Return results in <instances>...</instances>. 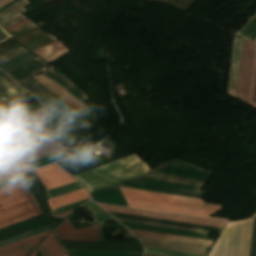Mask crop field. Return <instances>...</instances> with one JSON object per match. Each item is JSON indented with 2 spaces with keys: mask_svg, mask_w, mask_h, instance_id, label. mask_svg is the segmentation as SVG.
Returning <instances> with one entry per match:
<instances>
[{
  "mask_svg": "<svg viewBox=\"0 0 256 256\" xmlns=\"http://www.w3.org/2000/svg\"><path fill=\"white\" fill-rule=\"evenodd\" d=\"M117 221L121 225H123L125 228H133V229L161 232V233L188 236V237H195V238H201V239L209 240L207 238L208 234H205V233L185 231V230L172 229V228H165V227L152 226V225H145V224L132 223V222H125V221H119V220H117Z\"/></svg>",
  "mask_w": 256,
  "mask_h": 256,
  "instance_id": "crop-field-12",
  "label": "crop field"
},
{
  "mask_svg": "<svg viewBox=\"0 0 256 256\" xmlns=\"http://www.w3.org/2000/svg\"><path fill=\"white\" fill-rule=\"evenodd\" d=\"M241 41H242V37L237 34L235 37V42H234L230 76H229L228 89H227V93L232 96H234V94H235V86H236V79H237L240 49H241Z\"/></svg>",
  "mask_w": 256,
  "mask_h": 256,
  "instance_id": "crop-field-13",
  "label": "crop field"
},
{
  "mask_svg": "<svg viewBox=\"0 0 256 256\" xmlns=\"http://www.w3.org/2000/svg\"><path fill=\"white\" fill-rule=\"evenodd\" d=\"M145 253L162 255V256H197V255L172 252V251H166V250H160V249H154V248H148V247H145Z\"/></svg>",
  "mask_w": 256,
  "mask_h": 256,
  "instance_id": "crop-field-30",
  "label": "crop field"
},
{
  "mask_svg": "<svg viewBox=\"0 0 256 256\" xmlns=\"http://www.w3.org/2000/svg\"><path fill=\"white\" fill-rule=\"evenodd\" d=\"M59 151H62V149L56 143H54L46 147L23 154V157L26 159L27 162H29Z\"/></svg>",
  "mask_w": 256,
  "mask_h": 256,
  "instance_id": "crop-field-22",
  "label": "crop field"
},
{
  "mask_svg": "<svg viewBox=\"0 0 256 256\" xmlns=\"http://www.w3.org/2000/svg\"><path fill=\"white\" fill-rule=\"evenodd\" d=\"M238 33L251 42L256 38V14L238 31Z\"/></svg>",
  "mask_w": 256,
  "mask_h": 256,
  "instance_id": "crop-field-25",
  "label": "crop field"
},
{
  "mask_svg": "<svg viewBox=\"0 0 256 256\" xmlns=\"http://www.w3.org/2000/svg\"><path fill=\"white\" fill-rule=\"evenodd\" d=\"M144 256H155V255H148V254H145Z\"/></svg>",
  "mask_w": 256,
  "mask_h": 256,
  "instance_id": "crop-field-43",
  "label": "crop field"
},
{
  "mask_svg": "<svg viewBox=\"0 0 256 256\" xmlns=\"http://www.w3.org/2000/svg\"><path fill=\"white\" fill-rule=\"evenodd\" d=\"M125 237L134 238V237H133L132 235H130L129 233H128Z\"/></svg>",
  "mask_w": 256,
  "mask_h": 256,
  "instance_id": "crop-field-42",
  "label": "crop field"
},
{
  "mask_svg": "<svg viewBox=\"0 0 256 256\" xmlns=\"http://www.w3.org/2000/svg\"><path fill=\"white\" fill-rule=\"evenodd\" d=\"M38 251L43 256H65V252L62 248L58 245L53 233L47 236L39 247L32 252L29 256H37Z\"/></svg>",
  "mask_w": 256,
  "mask_h": 256,
  "instance_id": "crop-field-15",
  "label": "crop field"
},
{
  "mask_svg": "<svg viewBox=\"0 0 256 256\" xmlns=\"http://www.w3.org/2000/svg\"><path fill=\"white\" fill-rule=\"evenodd\" d=\"M6 143H9V141L6 139V137L3 134H1L0 135V145L6 144Z\"/></svg>",
  "mask_w": 256,
  "mask_h": 256,
  "instance_id": "crop-field-39",
  "label": "crop field"
},
{
  "mask_svg": "<svg viewBox=\"0 0 256 256\" xmlns=\"http://www.w3.org/2000/svg\"><path fill=\"white\" fill-rule=\"evenodd\" d=\"M129 206L134 208L229 221L209 216L223 208L202 199L120 187Z\"/></svg>",
  "mask_w": 256,
  "mask_h": 256,
  "instance_id": "crop-field-1",
  "label": "crop field"
},
{
  "mask_svg": "<svg viewBox=\"0 0 256 256\" xmlns=\"http://www.w3.org/2000/svg\"><path fill=\"white\" fill-rule=\"evenodd\" d=\"M93 202L90 200L83 207H85L88 211H90L99 222H105L112 220L110 216H108L102 209L98 206L92 204Z\"/></svg>",
  "mask_w": 256,
  "mask_h": 256,
  "instance_id": "crop-field-27",
  "label": "crop field"
},
{
  "mask_svg": "<svg viewBox=\"0 0 256 256\" xmlns=\"http://www.w3.org/2000/svg\"><path fill=\"white\" fill-rule=\"evenodd\" d=\"M129 231L134 235H138V236L173 240V241H179V242H186V243H193V244H200V245H207V246H210L212 243V241H204V240L191 239V238H185V237H178V236H171V235H164V234H157V233H150V232H143V231H136V230H129Z\"/></svg>",
  "mask_w": 256,
  "mask_h": 256,
  "instance_id": "crop-field-18",
  "label": "crop field"
},
{
  "mask_svg": "<svg viewBox=\"0 0 256 256\" xmlns=\"http://www.w3.org/2000/svg\"><path fill=\"white\" fill-rule=\"evenodd\" d=\"M28 4L27 0H19L18 2L8 6L0 12V24L26 12L23 6Z\"/></svg>",
  "mask_w": 256,
  "mask_h": 256,
  "instance_id": "crop-field-20",
  "label": "crop field"
},
{
  "mask_svg": "<svg viewBox=\"0 0 256 256\" xmlns=\"http://www.w3.org/2000/svg\"><path fill=\"white\" fill-rule=\"evenodd\" d=\"M19 178H22V176L19 175V176H15V177H12V178H10V179H7V180H5V181H3V182H0V185H3V184H5V183H8V182H11V181H14V180H17V179H19Z\"/></svg>",
  "mask_w": 256,
  "mask_h": 256,
  "instance_id": "crop-field-38",
  "label": "crop field"
},
{
  "mask_svg": "<svg viewBox=\"0 0 256 256\" xmlns=\"http://www.w3.org/2000/svg\"><path fill=\"white\" fill-rule=\"evenodd\" d=\"M149 166L136 155L75 176L89 192L147 173Z\"/></svg>",
  "mask_w": 256,
  "mask_h": 256,
  "instance_id": "crop-field-4",
  "label": "crop field"
},
{
  "mask_svg": "<svg viewBox=\"0 0 256 256\" xmlns=\"http://www.w3.org/2000/svg\"><path fill=\"white\" fill-rule=\"evenodd\" d=\"M43 112L42 108L0 123V129L21 154L54 143L44 131Z\"/></svg>",
  "mask_w": 256,
  "mask_h": 256,
  "instance_id": "crop-field-2",
  "label": "crop field"
},
{
  "mask_svg": "<svg viewBox=\"0 0 256 256\" xmlns=\"http://www.w3.org/2000/svg\"><path fill=\"white\" fill-rule=\"evenodd\" d=\"M12 0H0V7L8 2H10Z\"/></svg>",
  "mask_w": 256,
  "mask_h": 256,
  "instance_id": "crop-field-41",
  "label": "crop field"
},
{
  "mask_svg": "<svg viewBox=\"0 0 256 256\" xmlns=\"http://www.w3.org/2000/svg\"><path fill=\"white\" fill-rule=\"evenodd\" d=\"M34 172L39 177L46 189L76 182L73 177L64 172L55 164L42 169H37Z\"/></svg>",
  "mask_w": 256,
  "mask_h": 256,
  "instance_id": "crop-field-9",
  "label": "crop field"
},
{
  "mask_svg": "<svg viewBox=\"0 0 256 256\" xmlns=\"http://www.w3.org/2000/svg\"><path fill=\"white\" fill-rule=\"evenodd\" d=\"M48 232H49V231L44 232V233L39 234V235H36V236H33V237H30V238H28V239H25V240L16 242V243H14V244H11V245L2 247V248H0V253L3 252V251H6V250L12 249V248H14V247L23 245V244H25V243H28V242L37 240V239H39V238H42V237H44Z\"/></svg>",
  "mask_w": 256,
  "mask_h": 256,
  "instance_id": "crop-field-32",
  "label": "crop field"
},
{
  "mask_svg": "<svg viewBox=\"0 0 256 256\" xmlns=\"http://www.w3.org/2000/svg\"><path fill=\"white\" fill-rule=\"evenodd\" d=\"M256 47L242 41L240 64L235 97L248 103Z\"/></svg>",
  "mask_w": 256,
  "mask_h": 256,
  "instance_id": "crop-field-6",
  "label": "crop field"
},
{
  "mask_svg": "<svg viewBox=\"0 0 256 256\" xmlns=\"http://www.w3.org/2000/svg\"><path fill=\"white\" fill-rule=\"evenodd\" d=\"M83 188L84 187L80 183L76 182V183L69 184V185H66L63 187H59V188H56L53 190H49V191H46L47 199L53 198V197H56L59 195H63V194L69 193V192H73V191H76L79 189H83Z\"/></svg>",
  "mask_w": 256,
  "mask_h": 256,
  "instance_id": "crop-field-24",
  "label": "crop field"
},
{
  "mask_svg": "<svg viewBox=\"0 0 256 256\" xmlns=\"http://www.w3.org/2000/svg\"><path fill=\"white\" fill-rule=\"evenodd\" d=\"M254 219L227 223L209 256H249Z\"/></svg>",
  "mask_w": 256,
  "mask_h": 256,
  "instance_id": "crop-field-5",
  "label": "crop field"
},
{
  "mask_svg": "<svg viewBox=\"0 0 256 256\" xmlns=\"http://www.w3.org/2000/svg\"><path fill=\"white\" fill-rule=\"evenodd\" d=\"M254 216H256V213L254 214ZM253 217V216H252Z\"/></svg>",
  "mask_w": 256,
  "mask_h": 256,
  "instance_id": "crop-field-45",
  "label": "crop field"
},
{
  "mask_svg": "<svg viewBox=\"0 0 256 256\" xmlns=\"http://www.w3.org/2000/svg\"><path fill=\"white\" fill-rule=\"evenodd\" d=\"M105 211L223 228L225 223L97 204Z\"/></svg>",
  "mask_w": 256,
  "mask_h": 256,
  "instance_id": "crop-field-7",
  "label": "crop field"
},
{
  "mask_svg": "<svg viewBox=\"0 0 256 256\" xmlns=\"http://www.w3.org/2000/svg\"><path fill=\"white\" fill-rule=\"evenodd\" d=\"M89 199V198H88ZM87 200V199H85ZM85 200H81V201H78V202H75V203H72V204H68V205H65V206H62V207H59V208H55V209H52V214H57V213H61V212H64V211H67V210H71V209H74L76 208L80 203L84 202Z\"/></svg>",
  "mask_w": 256,
  "mask_h": 256,
  "instance_id": "crop-field-34",
  "label": "crop field"
},
{
  "mask_svg": "<svg viewBox=\"0 0 256 256\" xmlns=\"http://www.w3.org/2000/svg\"><path fill=\"white\" fill-rule=\"evenodd\" d=\"M38 214L39 204L23 180L0 188V228Z\"/></svg>",
  "mask_w": 256,
  "mask_h": 256,
  "instance_id": "crop-field-3",
  "label": "crop field"
},
{
  "mask_svg": "<svg viewBox=\"0 0 256 256\" xmlns=\"http://www.w3.org/2000/svg\"><path fill=\"white\" fill-rule=\"evenodd\" d=\"M73 210L71 211H67V212H64V213H61V214H57V215H54L56 217H62V218H65L69 213H71Z\"/></svg>",
  "mask_w": 256,
  "mask_h": 256,
  "instance_id": "crop-field-40",
  "label": "crop field"
},
{
  "mask_svg": "<svg viewBox=\"0 0 256 256\" xmlns=\"http://www.w3.org/2000/svg\"><path fill=\"white\" fill-rule=\"evenodd\" d=\"M119 220H123V219H119ZM125 221H130V220H125ZM132 222H137V221H132ZM139 223H144V222H139ZM145 224H151V223H145ZM152 225H158V224H152ZM159 226H164V225H159ZM165 227H171V226H165ZM172 228H178V227H172ZM179 229H185V228H179ZM185 230H192V229H185ZM192 231H198V230H192ZM199 232H205V231H199ZM205 233H208V232H205Z\"/></svg>",
  "mask_w": 256,
  "mask_h": 256,
  "instance_id": "crop-field-37",
  "label": "crop field"
},
{
  "mask_svg": "<svg viewBox=\"0 0 256 256\" xmlns=\"http://www.w3.org/2000/svg\"><path fill=\"white\" fill-rule=\"evenodd\" d=\"M107 213L110 214L112 217L124 218V219H130V220H137V221H144V222H151V223H158V224H166V225H173V226H180V227H187V228L215 231V232H219L221 230L219 228H212V227L198 226V225H192V224H185V223H178V222H171V221H164V220L136 217V216L116 214V213H109V212H107Z\"/></svg>",
  "mask_w": 256,
  "mask_h": 256,
  "instance_id": "crop-field-16",
  "label": "crop field"
},
{
  "mask_svg": "<svg viewBox=\"0 0 256 256\" xmlns=\"http://www.w3.org/2000/svg\"><path fill=\"white\" fill-rule=\"evenodd\" d=\"M34 27H36V25L31 22V23H29V24H27V25H25V26H23V27H21V28L15 30V31L11 32V34L16 37V36H18V35H20V34L26 32V31H28V30L34 28Z\"/></svg>",
  "mask_w": 256,
  "mask_h": 256,
  "instance_id": "crop-field-35",
  "label": "crop field"
},
{
  "mask_svg": "<svg viewBox=\"0 0 256 256\" xmlns=\"http://www.w3.org/2000/svg\"><path fill=\"white\" fill-rule=\"evenodd\" d=\"M26 170H29V167L27 166L21 155L0 162V174L3 177H7Z\"/></svg>",
  "mask_w": 256,
  "mask_h": 256,
  "instance_id": "crop-field-17",
  "label": "crop field"
},
{
  "mask_svg": "<svg viewBox=\"0 0 256 256\" xmlns=\"http://www.w3.org/2000/svg\"><path fill=\"white\" fill-rule=\"evenodd\" d=\"M54 40H56V39L53 38L52 36H50L49 34H47L46 36H44V37H42V38H40V39H38V40H36V41L26 45V47L32 51V50H34V49H36V48H38L40 46H43V45H45L47 43L52 42Z\"/></svg>",
  "mask_w": 256,
  "mask_h": 256,
  "instance_id": "crop-field-31",
  "label": "crop field"
},
{
  "mask_svg": "<svg viewBox=\"0 0 256 256\" xmlns=\"http://www.w3.org/2000/svg\"><path fill=\"white\" fill-rule=\"evenodd\" d=\"M67 51L69 50L65 46H63L58 40H56L33 51V53L49 63L57 59Z\"/></svg>",
  "mask_w": 256,
  "mask_h": 256,
  "instance_id": "crop-field-14",
  "label": "crop field"
},
{
  "mask_svg": "<svg viewBox=\"0 0 256 256\" xmlns=\"http://www.w3.org/2000/svg\"><path fill=\"white\" fill-rule=\"evenodd\" d=\"M39 240L25 244L23 246L14 248L6 252H3L0 254V256H26L36 246Z\"/></svg>",
  "mask_w": 256,
  "mask_h": 256,
  "instance_id": "crop-field-26",
  "label": "crop field"
},
{
  "mask_svg": "<svg viewBox=\"0 0 256 256\" xmlns=\"http://www.w3.org/2000/svg\"><path fill=\"white\" fill-rule=\"evenodd\" d=\"M47 230H50L49 225L41 227V228L33 230V231H30V232H27L25 234H22V235H19V236H16V237H13L11 239L2 241V242H0V247L11 244V243H14L16 241H19V240H22V239H25V238H28V237L36 235V234L42 233V232L47 231Z\"/></svg>",
  "mask_w": 256,
  "mask_h": 256,
  "instance_id": "crop-field-28",
  "label": "crop field"
},
{
  "mask_svg": "<svg viewBox=\"0 0 256 256\" xmlns=\"http://www.w3.org/2000/svg\"><path fill=\"white\" fill-rule=\"evenodd\" d=\"M88 193L85 189L79 190L73 193H69L63 196H59L53 199H49L50 208L59 207L68 203H72L81 199L88 198Z\"/></svg>",
  "mask_w": 256,
  "mask_h": 256,
  "instance_id": "crop-field-19",
  "label": "crop field"
},
{
  "mask_svg": "<svg viewBox=\"0 0 256 256\" xmlns=\"http://www.w3.org/2000/svg\"><path fill=\"white\" fill-rule=\"evenodd\" d=\"M30 21L31 20H29V19H25V20H23V21H21V22H19L17 24L11 25V26H9V27H7L5 29L10 32V31H12V30H14V29H16V28H18V27H20V26H22V25H24V24H26L28 22H30Z\"/></svg>",
  "mask_w": 256,
  "mask_h": 256,
  "instance_id": "crop-field-36",
  "label": "crop field"
},
{
  "mask_svg": "<svg viewBox=\"0 0 256 256\" xmlns=\"http://www.w3.org/2000/svg\"><path fill=\"white\" fill-rule=\"evenodd\" d=\"M33 78L37 80L40 84H42L50 92L55 94L60 99L69 103L71 106L76 108L81 113L86 109V107L81 102H79L75 97H73L70 93H68L66 90L60 87L53 80L42 75H38Z\"/></svg>",
  "mask_w": 256,
  "mask_h": 256,
  "instance_id": "crop-field-11",
  "label": "crop field"
},
{
  "mask_svg": "<svg viewBox=\"0 0 256 256\" xmlns=\"http://www.w3.org/2000/svg\"><path fill=\"white\" fill-rule=\"evenodd\" d=\"M136 237L141 240L144 246L189 252V253H195V254H202V255H205L204 248L207 247V246L172 242V241L138 237V236Z\"/></svg>",
  "mask_w": 256,
  "mask_h": 256,
  "instance_id": "crop-field-10",
  "label": "crop field"
},
{
  "mask_svg": "<svg viewBox=\"0 0 256 256\" xmlns=\"http://www.w3.org/2000/svg\"><path fill=\"white\" fill-rule=\"evenodd\" d=\"M56 232L59 240L98 242L99 226L92 225L74 230L67 218Z\"/></svg>",
  "mask_w": 256,
  "mask_h": 256,
  "instance_id": "crop-field-8",
  "label": "crop field"
},
{
  "mask_svg": "<svg viewBox=\"0 0 256 256\" xmlns=\"http://www.w3.org/2000/svg\"><path fill=\"white\" fill-rule=\"evenodd\" d=\"M249 104L256 107V58H255V65H254V72H253Z\"/></svg>",
  "mask_w": 256,
  "mask_h": 256,
  "instance_id": "crop-field-33",
  "label": "crop field"
},
{
  "mask_svg": "<svg viewBox=\"0 0 256 256\" xmlns=\"http://www.w3.org/2000/svg\"><path fill=\"white\" fill-rule=\"evenodd\" d=\"M19 155L18 150L11 144L0 146V161Z\"/></svg>",
  "mask_w": 256,
  "mask_h": 256,
  "instance_id": "crop-field-29",
  "label": "crop field"
},
{
  "mask_svg": "<svg viewBox=\"0 0 256 256\" xmlns=\"http://www.w3.org/2000/svg\"><path fill=\"white\" fill-rule=\"evenodd\" d=\"M0 179H1V177H0Z\"/></svg>",
  "mask_w": 256,
  "mask_h": 256,
  "instance_id": "crop-field-46",
  "label": "crop field"
},
{
  "mask_svg": "<svg viewBox=\"0 0 256 256\" xmlns=\"http://www.w3.org/2000/svg\"><path fill=\"white\" fill-rule=\"evenodd\" d=\"M252 43H254L256 45V39Z\"/></svg>",
  "mask_w": 256,
  "mask_h": 256,
  "instance_id": "crop-field-44",
  "label": "crop field"
},
{
  "mask_svg": "<svg viewBox=\"0 0 256 256\" xmlns=\"http://www.w3.org/2000/svg\"><path fill=\"white\" fill-rule=\"evenodd\" d=\"M25 91L0 73V94L6 99L23 94Z\"/></svg>",
  "mask_w": 256,
  "mask_h": 256,
  "instance_id": "crop-field-21",
  "label": "crop field"
},
{
  "mask_svg": "<svg viewBox=\"0 0 256 256\" xmlns=\"http://www.w3.org/2000/svg\"><path fill=\"white\" fill-rule=\"evenodd\" d=\"M22 176L26 179V181L29 183V185L32 187V189L37 194L38 199H39L40 204H41V208H42V212H43L44 217L45 216H46L45 218L49 217L48 213H47L45 203H44V200H43L42 195H41V191H42L41 186L38 184V182L35 180V178L31 175L30 172L22 174Z\"/></svg>",
  "mask_w": 256,
  "mask_h": 256,
  "instance_id": "crop-field-23",
  "label": "crop field"
}]
</instances>
